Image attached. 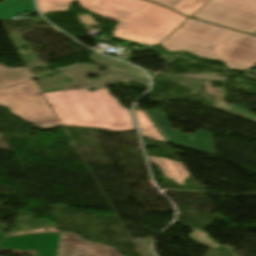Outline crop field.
<instances>
[{
	"label": "crop field",
	"instance_id": "crop-field-10",
	"mask_svg": "<svg viewBox=\"0 0 256 256\" xmlns=\"http://www.w3.org/2000/svg\"><path fill=\"white\" fill-rule=\"evenodd\" d=\"M172 77H179V78H193V79H204L205 81V88L204 91L209 94L215 95V99L213 100L211 106L219 108L221 110L242 116L244 118L253 120L256 122V115L241 109L239 107L229 105L223 102L225 98V86L226 83L223 84V87L219 88H212L210 86V80L214 81H222V82H227L228 78L224 77H215V76H207V75H199V74H182V75H175Z\"/></svg>",
	"mask_w": 256,
	"mask_h": 256
},
{
	"label": "crop field",
	"instance_id": "crop-field-4",
	"mask_svg": "<svg viewBox=\"0 0 256 256\" xmlns=\"http://www.w3.org/2000/svg\"><path fill=\"white\" fill-rule=\"evenodd\" d=\"M0 105L36 127L62 125L34 80L0 89Z\"/></svg>",
	"mask_w": 256,
	"mask_h": 256
},
{
	"label": "crop field",
	"instance_id": "crop-field-5",
	"mask_svg": "<svg viewBox=\"0 0 256 256\" xmlns=\"http://www.w3.org/2000/svg\"><path fill=\"white\" fill-rule=\"evenodd\" d=\"M193 17L252 33L256 0H210Z\"/></svg>",
	"mask_w": 256,
	"mask_h": 256
},
{
	"label": "crop field",
	"instance_id": "crop-field-24",
	"mask_svg": "<svg viewBox=\"0 0 256 256\" xmlns=\"http://www.w3.org/2000/svg\"><path fill=\"white\" fill-rule=\"evenodd\" d=\"M253 69H256V64L252 67Z\"/></svg>",
	"mask_w": 256,
	"mask_h": 256
},
{
	"label": "crop field",
	"instance_id": "crop-field-1",
	"mask_svg": "<svg viewBox=\"0 0 256 256\" xmlns=\"http://www.w3.org/2000/svg\"><path fill=\"white\" fill-rule=\"evenodd\" d=\"M73 0H38L43 15L67 11ZM99 16L120 21L112 35L156 46L187 18L161 5L144 0H77Z\"/></svg>",
	"mask_w": 256,
	"mask_h": 256
},
{
	"label": "crop field",
	"instance_id": "crop-field-22",
	"mask_svg": "<svg viewBox=\"0 0 256 256\" xmlns=\"http://www.w3.org/2000/svg\"><path fill=\"white\" fill-rule=\"evenodd\" d=\"M115 77L119 78L120 81H122V80H128V79H125V78H121L120 75H115Z\"/></svg>",
	"mask_w": 256,
	"mask_h": 256
},
{
	"label": "crop field",
	"instance_id": "crop-field-16",
	"mask_svg": "<svg viewBox=\"0 0 256 256\" xmlns=\"http://www.w3.org/2000/svg\"><path fill=\"white\" fill-rule=\"evenodd\" d=\"M190 239L195 241L196 243L202 244L206 247L218 249L221 246L220 243L208 237L207 232L202 230L201 228H196L191 234L188 235Z\"/></svg>",
	"mask_w": 256,
	"mask_h": 256
},
{
	"label": "crop field",
	"instance_id": "crop-field-15",
	"mask_svg": "<svg viewBox=\"0 0 256 256\" xmlns=\"http://www.w3.org/2000/svg\"><path fill=\"white\" fill-rule=\"evenodd\" d=\"M32 79L33 77L27 67L8 68L0 65V87H6Z\"/></svg>",
	"mask_w": 256,
	"mask_h": 256
},
{
	"label": "crop field",
	"instance_id": "crop-field-23",
	"mask_svg": "<svg viewBox=\"0 0 256 256\" xmlns=\"http://www.w3.org/2000/svg\"><path fill=\"white\" fill-rule=\"evenodd\" d=\"M145 70V69H144ZM148 72V71H147ZM149 74H150V76H152L153 75V73L152 72H148Z\"/></svg>",
	"mask_w": 256,
	"mask_h": 256
},
{
	"label": "crop field",
	"instance_id": "crop-field-11",
	"mask_svg": "<svg viewBox=\"0 0 256 256\" xmlns=\"http://www.w3.org/2000/svg\"><path fill=\"white\" fill-rule=\"evenodd\" d=\"M148 158L151 163L159 167L167 179H173L181 185H185L183 181L191 176L185 167L178 162L154 156H149Z\"/></svg>",
	"mask_w": 256,
	"mask_h": 256
},
{
	"label": "crop field",
	"instance_id": "crop-field-13",
	"mask_svg": "<svg viewBox=\"0 0 256 256\" xmlns=\"http://www.w3.org/2000/svg\"><path fill=\"white\" fill-rule=\"evenodd\" d=\"M89 57L92 60V62L100 64L106 68L121 71L124 74H130L132 76L149 80L148 76L145 73H143L141 69L137 67L124 64L122 62L116 61L114 59H111L96 53L90 55Z\"/></svg>",
	"mask_w": 256,
	"mask_h": 256
},
{
	"label": "crop field",
	"instance_id": "crop-field-18",
	"mask_svg": "<svg viewBox=\"0 0 256 256\" xmlns=\"http://www.w3.org/2000/svg\"><path fill=\"white\" fill-rule=\"evenodd\" d=\"M140 130H141L142 136L166 142V140L163 138L160 132L155 128V126L143 128Z\"/></svg>",
	"mask_w": 256,
	"mask_h": 256
},
{
	"label": "crop field",
	"instance_id": "crop-field-19",
	"mask_svg": "<svg viewBox=\"0 0 256 256\" xmlns=\"http://www.w3.org/2000/svg\"><path fill=\"white\" fill-rule=\"evenodd\" d=\"M135 113L138 120L139 128L152 126V123L149 121L143 111H135Z\"/></svg>",
	"mask_w": 256,
	"mask_h": 256
},
{
	"label": "crop field",
	"instance_id": "crop-field-2",
	"mask_svg": "<svg viewBox=\"0 0 256 256\" xmlns=\"http://www.w3.org/2000/svg\"><path fill=\"white\" fill-rule=\"evenodd\" d=\"M169 51L186 50L222 60L228 68L248 70L256 63V37L188 18L161 43Z\"/></svg>",
	"mask_w": 256,
	"mask_h": 256
},
{
	"label": "crop field",
	"instance_id": "crop-field-3",
	"mask_svg": "<svg viewBox=\"0 0 256 256\" xmlns=\"http://www.w3.org/2000/svg\"><path fill=\"white\" fill-rule=\"evenodd\" d=\"M45 97L63 125L135 130L130 111L110 95L107 87L98 88L95 92L85 89L50 93Z\"/></svg>",
	"mask_w": 256,
	"mask_h": 256
},
{
	"label": "crop field",
	"instance_id": "crop-field-7",
	"mask_svg": "<svg viewBox=\"0 0 256 256\" xmlns=\"http://www.w3.org/2000/svg\"><path fill=\"white\" fill-rule=\"evenodd\" d=\"M3 227L0 223V248L36 251V256L55 255L59 232L6 236L1 232Z\"/></svg>",
	"mask_w": 256,
	"mask_h": 256
},
{
	"label": "crop field",
	"instance_id": "crop-field-21",
	"mask_svg": "<svg viewBox=\"0 0 256 256\" xmlns=\"http://www.w3.org/2000/svg\"><path fill=\"white\" fill-rule=\"evenodd\" d=\"M169 8H174L181 0H152Z\"/></svg>",
	"mask_w": 256,
	"mask_h": 256
},
{
	"label": "crop field",
	"instance_id": "crop-field-8",
	"mask_svg": "<svg viewBox=\"0 0 256 256\" xmlns=\"http://www.w3.org/2000/svg\"><path fill=\"white\" fill-rule=\"evenodd\" d=\"M57 256H122L116 248L88 242L76 233H62Z\"/></svg>",
	"mask_w": 256,
	"mask_h": 256
},
{
	"label": "crop field",
	"instance_id": "crop-field-9",
	"mask_svg": "<svg viewBox=\"0 0 256 256\" xmlns=\"http://www.w3.org/2000/svg\"><path fill=\"white\" fill-rule=\"evenodd\" d=\"M63 73L73 77L75 81L73 85H64L65 89L92 86V85H101V84H119V79L114 78L115 74H120L122 77L130 78L135 81L149 85L148 80L132 77L129 75H124L121 72H117L109 69L100 73L97 67H94V66H81L72 70L63 71ZM91 73L98 74L100 76L94 80L88 79L86 76Z\"/></svg>",
	"mask_w": 256,
	"mask_h": 256
},
{
	"label": "crop field",
	"instance_id": "crop-field-17",
	"mask_svg": "<svg viewBox=\"0 0 256 256\" xmlns=\"http://www.w3.org/2000/svg\"><path fill=\"white\" fill-rule=\"evenodd\" d=\"M208 0H183L174 9L190 16L196 12Z\"/></svg>",
	"mask_w": 256,
	"mask_h": 256
},
{
	"label": "crop field",
	"instance_id": "crop-field-12",
	"mask_svg": "<svg viewBox=\"0 0 256 256\" xmlns=\"http://www.w3.org/2000/svg\"><path fill=\"white\" fill-rule=\"evenodd\" d=\"M33 215L29 212L19 211L10 234L26 233L57 228L48 220L32 221Z\"/></svg>",
	"mask_w": 256,
	"mask_h": 256
},
{
	"label": "crop field",
	"instance_id": "crop-field-6",
	"mask_svg": "<svg viewBox=\"0 0 256 256\" xmlns=\"http://www.w3.org/2000/svg\"><path fill=\"white\" fill-rule=\"evenodd\" d=\"M159 111L152 110L146 113L169 143L214 155L210 132L196 130L194 135H187L170 130L169 123L165 121V114Z\"/></svg>",
	"mask_w": 256,
	"mask_h": 256
},
{
	"label": "crop field",
	"instance_id": "crop-field-14",
	"mask_svg": "<svg viewBox=\"0 0 256 256\" xmlns=\"http://www.w3.org/2000/svg\"><path fill=\"white\" fill-rule=\"evenodd\" d=\"M33 0H5L0 3V20L12 19L18 13L34 11Z\"/></svg>",
	"mask_w": 256,
	"mask_h": 256
},
{
	"label": "crop field",
	"instance_id": "crop-field-20",
	"mask_svg": "<svg viewBox=\"0 0 256 256\" xmlns=\"http://www.w3.org/2000/svg\"><path fill=\"white\" fill-rule=\"evenodd\" d=\"M77 17L81 24L87 25L88 27L99 25L90 15H77Z\"/></svg>",
	"mask_w": 256,
	"mask_h": 256
},
{
	"label": "crop field",
	"instance_id": "crop-field-25",
	"mask_svg": "<svg viewBox=\"0 0 256 256\" xmlns=\"http://www.w3.org/2000/svg\"><path fill=\"white\" fill-rule=\"evenodd\" d=\"M254 35H256V32L254 33Z\"/></svg>",
	"mask_w": 256,
	"mask_h": 256
}]
</instances>
